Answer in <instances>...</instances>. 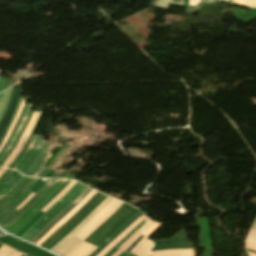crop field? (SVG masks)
<instances>
[{
	"label": "crop field",
	"instance_id": "obj_25",
	"mask_svg": "<svg viewBox=\"0 0 256 256\" xmlns=\"http://www.w3.org/2000/svg\"><path fill=\"white\" fill-rule=\"evenodd\" d=\"M11 88L2 92L1 97H0V117L6 107L7 104V100L10 94Z\"/></svg>",
	"mask_w": 256,
	"mask_h": 256
},
{
	"label": "crop field",
	"instance_id": "obj_47",
	"mask_svg": "<svg viewBox=\"0 0 256 256\" xmlns=\"http://www.w3.org/2000/svg\"><path fill=\"white\" fill-rule=\"evenodd\" d=\"M45 163H46V162H43V164L41 165V167L39 168V170L35 173V175H34L33 177L36 178L37 174L39 173V171L41 170V168L44 166Z\"/></svg>",
	"mask_w": 256,
	"mask_h": 256
},
{
	"label": "crop field",
	"instance_id": "obj_42",
	"mask_svg": "<svg viewBox=\"0 0 256 256\" xmlns=\"http://www.w3.org/2000/svg\"><path fill=\"white\" fill-rule=\"evenodd\" d=\"M153 223H154V222H152V221L148 218L147 223H146V225H145L143 231H144L145 229H147V228H148L151 224H153Z\"/></svg>",
	"mask_w": 256,
	"mask_h": 256
},
{
	"label": "crop field",
	"instance_id": "obj_59",
	"mask_svg": "<svg viewBox=\"0 0 256 256\" xmlns=\"http://www.w3.org/2000/svg\"><path fill=\"white\" fill-rule=\"evenodd\" d=\"M2 246V244H0V247Z\"/></svg>",
	"mask_w": 256,
	"mask_h": 256
},
{
	"label": "crop field",
	"instance_id": "obj_16",
	"mask_svg": "<svg viewBox=\"0 0 256 256\" xmlns=\"http://www.w3.org/2000/svg\"><path fill=\"white\" fill-rule=\"evenodd\" d=\"M146 216L143 214L140 218H138L130 227L124 230L113 242H111L101 253L97 256H103L106 254L112 247H114L130 230H132L139 222L145 219Z\"/></svg>",
	"mask_w": 256,
	"mask_h": 256
},
{
	"label": "crop field",
	"instance_id": "obj_52",
	"mask_svg": "<svg viewBox=\"0 0 256 256\" xmlns=\"http://www.w3.org/2000/svg\"><path fill=\"white\" fill-rule=\"evenodd\" d=\"M14 252H15V250L13 252H11L8 256H11Z\"/></svg>",
	"mask_w": 256,
	"mask_h": 256
},
{
	"label": "crop field",
	"instance_id": "obj_55",
	"mask_svg": "<svg viewBox=\"0 0 256 256\" xmlns=\"http://www.w3.org/2000/svg\"><path fill=\"white\" fill-rule=\"evenodd\" d=\"M127 256H134V255H132V254L129 253Z\"/></svg>",
	"mask_w": 256,
	"mask_h": 256
},
{
	"label": "crop field",
	"instance_id": "obj_19",
	"mask_svg": "<svg viewBox=\"0 0 256 256\" xmlns=\"http://www.w3.org/2000/svg\"><path fill=\"white\" fill-rule=\"evenodd\" d=\"M152 243L149 241H145L136 251L134 254L137 256H151L149 254V249L152 247Z\"/></svg>",
	"mask_w": 256,
	"mask_h": 256
},
{
	"label": "crop field",
	"instance_id": "obj_39",
	"mask_svg": "<svg viewBox=\"0 0 256 256\" xmlns=\"http://www.w3.org/2000/svg\"><path fill=\"white\" fill-rule=\"evenodd\" d=\"M12 83H13V81L12 80H6V83H5V86H4V88H3V91L5 90V89H7L9 86H11L12 85Z\"/></svg>",
	"mask_w": 256,
	"mask_h": 256
},
{
	"label": "crop field",
	"instance_id": "obj_31",
	"mask_svg": "<svg viewBox=\"0 0 256 256\" xmlns=\"http://www.w3.org/2000/svg\"><path fill=\"white\" fill-rule=\"evenodd\" d=\"M24 102H25V100L23 99L22 102H21V105H20V107H19V110H18V112H17V115H16V117H15V119H14V122H13V124H12V126H11V128H10V130H9V132H8V134L6 135V137H5L4 141H3V143H2V145H1V147H0V150H1L2 146L4 145V143L6 142V140H7L8 136H9V134L11 133V131H12V129H13L15 123H16V120H17V118H18V116H19V113H20V111H21V109H22V107H23Z\"/></svg>",
	"mask_w": 256,
	"mask_h": 256
},
{
	"label": "crop field",
	"instance_id": "obj_56",
	"mask_svg": "<svg viewBox=\"0 0 256 256\" xmlns=\"http://www.w3.org/2000/svg\"><path fill=\"white\" fill-rule=\"evenodd\" d=\"M22 256H29V255H27V254H23Z\"/></svg>",
	"mask_w": 256,
	"mask_h": 256
},
{
	"label": "crop field",
	"instance_id": "obj_48",
	"mask_svg": "<svg viewBox=\"0 0 256 256\" xmlns=\"http://www.w3.org/2000/svg\"><path fill=\"white\" fill-rule=\"evenodd\" d=\"M128 254V252H123L120 256H126Z\"/></svg>",
	"mask_w": 256,
	"mask_h": 256
},
{
	"label": "crop field",
	"instance_id": "obj_27",
	"mask_svg": "<svg viewBox=\"0 0 256 256\" xmlns=\"http://www.w3.org/2000/svg\"><path fill=\"white\" fill-rule=\"evenodd\" d=\"M27 106H28V104H27V105H24L23 110H22V113H21V115L19 116V118H18V120H17V123H16V125H15V127H14L12 133L10 134V136H9V138H8V140H7V142H6V144L4 145L3 149H2L1 152H0V156H1V154L3 153V151L5 150V148L7 147V145H8V143L10 142L12 136L15 134L16 129H17V127H18V125H19V123H20V121H21V119H22L24 113H25V110H26Z\"/></svg>",
	"mask_w": 256,
	"mask_h": 256
},
{
	"label": "crop field",
	"instance_id": "obj_24",
	"mask_svg": "<svg viewBox=\"0 0 256 256\" xmlns=\"http://www.w3.org/2000/svg\"><path fill=\"white\" fill-rule=\"evenodd\" d=\"M40 113H41V112H38V113H37V115H36V117H35V120H34L32 126H31L30 130L28 131L27 135L25 136V138H24V140H23V142H22V144H21L19 150L14 154L13 158H12L11 161L8 163V165H11V163L13 162V160L15 159V157L21 152V150H22V148H23V146H24L26 140L28 139V137H29V135H30V133H31V131H32V129H33V127H34V125H35V123H36V121H37L39 115H40Z\"/></svg>",
	"mask_w": 256,
	"mask_h": 256
},
{
	"label": "crop field",
	"instance_id": "obj_57",
	"mask_svg": "<svg viewBox=\"0 0 256 256\" xmlns=\"http://www.w3.org/2000/svg\"><path fill=\"white\" fill-rule=\"evenodd\" d=\"M16 253H17V251L12 256H14Z\"/></svg>",
	"mask_w": 256,
	"mask_h": 256
},
{
	"label": "crop field",
	"instance_id": "obj_11",
	"mask_svg": "<svg viewBox=\"0 0 256 256\" xmlns=\"http://www.w3.org/2000/svg\"><path fill=\"white\" fill-rule=\"evenodd\" d=\"M111 198L105 199L91 214H89L70 234H68L65 238H63L59 243H57L52 249L49 251L55 252L57 251L65 242H67L87 221H89L101 208H103Z\"/></svg>",
	"mask_w": 256,
	"mask_h": 256
},
{
	"label": "crop field",
	"instance_id": "obj_28",
	"mask_svg": "<svg viewBox=\"0 0 256 256\" xmlns=\"http://www.w3.org/2000/svg\"><path fill=\"white\" fill-rule=\"evenodd\" d=\"M28 180H29V178L24 176V178L20 181V183L11 192L6 194V196L12 198L23 188V186L27 183Z\"/></svg>",
	"mask_w": 256,
	"mask_h": 256
},
{
	"label": "crop field",
	"instance_id": "obj_4",
	"mask_svg": "<svg viewBox=\"0 0 256 256\" xmlns=\"http://www.w3.org/2000/svg\"><path fill=\"white\" fill-rule=\"evenodd\" d=\"M70 182V180L57 179L54 185L37 201L35 202L16 222L10 225L5 231L15 235L22 229L43 207H45L63 188ZM19 224L15 229L11 230Z\"/></svg>",
	"mask_w": 256,
	"mask_h": 256
},
{
	"label": "crop field",
	"instance_id": "obj_10",
	"mask_svg": "<svg viewBox=\"0 0 256 256\" xmlns=\"http://www.w3.org/2000/svg\"><path fill=\"white\" fill-rule=\"evenodd\" d=\"M91 189H87L82 193L74 202H72L61 214H59L51 223H49L36 237L30 242L36 243L47 231H49L64 215H66L72 208H74L89 192Z\"/></svg>",
	"mask_w": 256,
	"mask_h": 256
},
{
	"label": "crop field",
	"instance_id": "obj_36",
	"mask_svg": "<svg viewBox=\"0 0 256 256\" xmlns=\"http://www.w3.org/2000/svg\"><path fill=\"white\" fill-rule=\"evenodd\" d=\"M140 235H142L141 232H139V233L123 248V250L126 251V250L132 245V243H133Z\"/></svg>",
	"mask_w": 256,
	"mask_h": 256
},
{
	"label": "crop field",
	"instance_id": "obj_54",
	"mask_svg": "<svg viewBox=\"0 0 256 256\" xmlns=\"http://www.w3.org/2000/svg\"><path fill=\"white\" fill-rule=\"evenodd\" d=\"M247 251H249V252H252V253H256V252H254V251H251V250H247Z\"/></svg>",
	"mask_w": 256,
	"mask_h": 256
},
{
	"label": "crop field",
	"instance_id": "obj_43",
	"mask_svg": "<svg viewBox=\"0 0 256 256\" xmlns=\"http://www.w3.org/2000/svg\"><path fill=\"white\" fill-rule=\"evenodd\" d=\"M5 80H6V79H4V78H0V92H1V90H2V87H3V85H4Z\"/></svg>",
	"mask_w": 256,
	"mask_h": 256
},
{
	"label": "crop field",
	"instance_id": "obj_44",
	"mask_svg": "<svg viewBox=\"0 0 256 256\" xmlns=\"http://www.w3.org/2000/svg\"><path fill=\"white\" fill-rule=\"evenodd\" d=\"M34 194L32 193L17 209H19L23 204H25Z\"/></svg>",
	"mask_w": 256,
	"mask_h": 256
},
{
	"label": "crop field",
	"instance_id": "obj_23",
	"mask_svg": "<svg viewBox=\"0 0 256 256\" xmlns=\"http://www.w3.org/2000/svg\"><path fill=\"white\" fill-rule=\"evenodd\" d=\"M247 240L256 243V231L251 230L247 237ZM248 241L246 242L245 248L256 251V244Z\"/></svg>",
	"mask_w": 256,
	"mask_h": 256
},
{
	"label": "crop field",
	"instance_id": "obj_22",
	"mask_svg": "<svg viewBox=\"0 0 256 256\" xmlns=\"http://www.w3.org/2000/svg\"><path fill=\"white\" fill-rule=\"evenodd\" d=\"M207 1H229V2H232V0H200V3L207 2ZM233 2L256 8V0H233Z\"/></svg>",
	"mask_w": 256,
	"mask_h": 256
},
{
	"label": "crop field",
	"instance_id": "obj_21",
	"mask_svg": "<svg viewBox=\"0 0 256 256\" xmlns=\"http://www.w3.org/2000/svg\"><path fill=\"white\" fill-rule=\"evenodd\" d=\"M36 181V179L32 182V184L26 189V191L16 200L14 201L12 204H10V207L16 208L18 205H20L26 198L27 196L30 194L29 189L31 188V186L33 185V183ZM9 207V208H10ZM8 208V209H9ZM8 209H6L5 211L1 212L0 215H2L4 212H6Z\"/></svg>",
	"mask_w": 256,
	"mask_h": 256
},
{
	"label": "crop field",
	"instance_id": "obj_49",
	"mask_svg": "<svg viewBox=\"0 0 256 256\" xmlns=\"http://www.w3.org/2000/svg\"><path fill=\"white\" fill-rule=\"evenodd\" d=\"M6 170L5 169H3V171L0 173V177L2 176V174L5 172Z\"/></svg>",
	"mask_w": 256,
	"mask_h": 256
},
{
	"label": "crop field",
	"instance_id": "obj_58",
	"mask_svg": "<svg viewBox=\"0 0 256 256\" xmlns=\"http://www.w3.org/2000/svg\"><path fill=\"white\" fill-rule=\"evenodd\" d=\"M2 168H0V172H1Z\"/></svg>",
	"mask_w": 256,
	"mask_h": 256
},
{
	"label": "crop field",
	"instance_id": "obj_34",
	"mask_svg": "<svg viewBox=\"0 0 256 256\" xmlns=\"http://www.w3.org/2000/svg\"><path fill=\"white\" fill-rule=\"evenodd\" d=\"M13 249L6 245H3L0 249V256H7Z\"/></svg>",
	"mask_w": 256,
	"mask_h": 256
},
{
	"label": "crop field",
	"instance_id": "obj_9",
	"mask_svg": "<svg viewBox=\"0 0 256 256\" xmlns=\"http://www.w3.org/2000/svg\"><path fill=\"white\" fill-rule=\"evenodd\" d=\"M56 179H49V181L6 223L0 226L3 230L17 220L36 200H38L48 189Z\"/></svg>",
	"mask_w": 256,
	"mask_h": 256
},
{
	"label": "crop field",
	"instance_id": "obj_6",
	"mask_svg": "<svg viewBox=\"0 0 256 256\" xmlns=\"http://www.w3.org/2000/svg\"><path fill=\"white\" fill-rule=\"evenodd\" d=\"M153 243L155 246L151 251L193 248L189 241L187 240L186 234L183 230L170 240L154 241Z\"/></svg>",
	"mask_w": 256,
	"mask_h": 256
},
{
	"label": "crop field",
	"instance_id": "obj_37",
	"mask_svg": "<svg viewBox=\"0 0 256 256\" xmlns=\"http://www.w3.org/2000/svg\"><path fill=\"white\" fill-rule=\"evenodd\" d=\"M75 183L76 181L71 180L69 185L61 193L65 194Z\"/></svg>",
	"mask_w": 256,
	"mask_h": 256
},
{
	"label": "crop field",
	"instance_id": "obj_38",
	"mask_svg": "<svg viewBox=\"0 0 256 256\" xmlns=\"http://www.w3.org/2000/svg\"><path fill=\"white\" fill-rule=\"evenodd\" d=\"M47 171H48L47 169L42 168V170L38 174L37 178H43L44 175L47 173Z\"/></svg>",
	"mask_w": 256,
	"mask_h": 256
},
{
	"label": "crop field",
	"instance_id": "obj_8",
	"mask_svg": "<svg viewBox=\"0 0 256 256\" xmlns=\"http://www.w3.org/2000/svg\"><path fill=\"white\" fill-rule=\"evenodd\" d=\"M20 92L21 91L19 90L18 85L13 86L6 110L0 120V136L2 135L8 121L13 113V110L16 105V102H17Z\"/></svg>",
	"mask_w": 256,
	"mask_h": 256
},
{
	"label": "crop field",
	"instance_id": "obj_53",
	"mask_svg": "<svg viewBox=\"0 0 256 256\" xmlns=\"http://www.w3.org/2000/svg\"><path fill=\"white\" fill-rule=\"evenodd\" d=\"M20 255H21V253L18 252L15 256H20Z\"/></svg>",
	"mask_w": 256,
	"mask_h": 256
},
{
	"label": "crop field",
	"instance_id": "obj_14",
	"mask_svg": "<svg viewBox=\"0 0 256 256\" xmlns=\"http://www.w3.org/2000/svg\"><path fill=\"white\" fill-rule=\"evenodd\" d=\"M22 175L16 171L11 170V172L5 177V179L0 183V195L8 193L14 185L21 179Z\"/></svg>",
	"mask_w": 256,
	"mask_h": 256
},
{
	"label": "crop field",
	"instance_id": "obj_30",
	"mask_svg": "<svg viewBox=\"0 0 256 256\" xmlns=\"http://www.w3.org/2000/svg\"><path fill=\"white\" fill-rule=\"evenodd\" d=\"M161 226V224L158 223H154L152 226H150L146 231L143 232V235L146 236L147 238L153 234L159 227Z\"/></svg>",
	"mask_w": 256,
	"mask_h": 256
},
{
	"label": "crop field",
	"instance_id": "obj_29",
	"mask_svg": "<svg viewBox=\"0 0 256 256\" xmlns=\"http://www.w3.org/2000/svg\"><path fill=\"white\" fill-rule=\"evenodd\" d=\"M35 114H36V112L33 113L32 117H31V119H30V121H29V123H28V125H27V127H26V129H25V131H24V134H23V136H22L20 142H19L18 145L15 147V149L13 150V152L11 153V155L8 157V159L5 161V163L2 165V167H5V166L7 165V163L10 161V159H11L12 156H13V154L15 153V151L17 150V148H18L19 145L21 144V142H22V140H23V138H24V136H25V134H26V132H27V130H28V128H29V126H30V124H31V122H32V120H33V118H34V116H35Z\"/></svg>",
	"mask_w": 256,
	"mask_h": 256
},
{
	"label": "crop field",
	"instance_id": "obj_2",
	"mask_svg": "<svg viewBox=\"0 0 256 256\" xmlns=\"http://www.w3.org/2000/svg\"><path fill=\"white\" fill-rule=\"evenodd\" d=\"M86 189L87 187L77 182L69 192H67L55 205L46 211V213L20 238L27 241L32 239Z\"/></svg>",
	"mask_w": 256,
	"mask_h": 256
},
{
	"label": "crop field",
	"instance_id": "obj_26",
	"mask_svg": "<svg viewBox=\"0 0 256 256\" xmlns=\"http://www.w3.org/2000/svg\"><path fill=\"white\" fill-rule=\"evenodd\" d=\"M146 220V219H145ZM145 220L142 221L135 229H133L129 234H127L114 248H112L105 256H111L117 251V248L134 232L136 231L140 226H142L145 223Z\"/></svg>",
	"mask_w": 256,
	"mask_h": 256
},
{
	"label": "crop field",
	"instance_id": "obj_51",
	"mask_svg": "<svg viewBox=\"0 0 256 256\" xmlns=\"http://www.w3.org/2000/svg\"><path fill=\"white\" fill-rule=\"evenodd\" d=\"M253 230H256V223H255V225H254V227H253Z\"/></svg>",
	"mask_w": 256,
	"mask_h": 256
},
{
	"label": "crop field",
	"instance_id": "obj_3",
	"mask_svg": "<svg viewBox=\"0 0 256 256\" xmlns=\"http://www.w3.org/2000/svg\"><path fill=\"white\" fill-rule=\"evenodd\" d=\"M119 201L112 199L97 215H95L74 237L81 239L94 225H96L105 215H107ZM122 204L120 202L107 216H105L95 227H93L82 239L83 241L96 227H98L105 219H107L117 208ZM71 238L66 244H64L55 254L59 256H66L75 247H77L81 241Z\"/></svg>",
	"mask_w": 256,
	"mask_h": 256
},
{
	"label": "crop field",
	"instance_id": "obj_7",
	"mask_svg": "<svg viewBox=\"0 0 256 256\" xmlns=\"http://www.w3.org/2000/svg\"><path fill=\"white\" fill-rule=\"evenodd\" d=\"M102 194L96 193L81 209H79L62 227L47 238L40 247L44 248L61 234L71 223H73L80 215H82Z\"/></svg>",
	"mask_w": 256,
	"mask_h": 256
},
{
	"label": "crop field",
	"instance_id": "obj_20",
	"mask_svg": "<svg viewBox=\"0 0 256 256\" xmlns=\"http://www.w3.org/2000/svg\"><path fill=\"white\" fill-rule=\"evenodd\" d=\"M31 106H32V105H29V106H28V109H27V111H26V114H25V116H24V118H23L21 124L19 125L16 134L13 136V138H12V140H11V142H10L8 148L5 150V152H4V153L2 154V156L0 157V162H1V160L4 158V156L7 154V152L10 150V148L12 147V145H13V143H14L16 137L18 136V134H19V132H20V130H21V127H22V125H23V123H24V121H25V119H26V117H27V115H28V113H29V110H30Z\"/></svg>",
	"mask_w": 256,
	"mask_h": 256
},
{
	"label": "crop field",
	"instance_id": "obj_5",
	"mask_svg": "<svg viewBox=\"0 0 256 256\" xmlns=\"http://www.w3.org/2000/svg\"><path fill=\"white\" fill-rule=\"evenodd\" d=\"M45 143L43 142L42 136H33V139L28 146L25 154L22 158L18 161V163L13 167L14 170H18L22 174H26L27 171L30 169L36 158L38 157L39 153L45 147Z\"/></svg>",
	"mask_w": 256,
	"mask_h": 256
},
{
	"label": "crop field",
	"instance_id": "obj_40",
	"mask_svg": "<svg viewBox=\"0 0 256 256\" xmlns=\"http://www.w3.org/2000/svg\"><path fill=\"white\" fill-rule=\"evenodd\" d=\"M199 4V0H189V5L197 6Z\"/></svg>",
	"mask_w": 256,
	"mask_h": 256
},
{
	"label": "crop field",
	"instance_id": "obj_12",
	"mask_svg": "<svg viewBox=\"0 0 256 256\" xmlns=\"http://www.w3.org/2000/svg\"><path fill=\"white\" fill-rule=\"evenodd\" d=\"M107 196L102 195L82 216H80L72 225H70L60 236H58L53 242H51L46 249H50L54 244L65 237L71 232L99 203H101Z\"/></svg>",
	"mask_w": 256,
	"mask_h": 256
},
{
	"label": "crop field",
	"instance_id": "obj_17",
	"mask_svg": "<svg viewBox=\"0 0 256 256\" xmlns=\"http://www.w3.org/2000/svg\"><path fill=\"white\" fill-rule=\"evenodd\" d=\"M151 254L152 256H195V250H166Z\"/></svg>",
	"mask_w": 256,
	"mask_h": 256
},
{
	"label": "crop field",
	"instance_id": "obj_15",
	"mask_svg": "<svg viewBox=\"0 0 256 256\" xmlns=\"http://www.w3.org/2000/svg\"><path fill=\"white\" fill-rule=\"evenodd\" d=\"M140 211L123 224L113 235H111L100 247H98L90 256H96L107 244L113 241L124 229L132 224V222L142 215Z\"/></svg>",
	"mask_w": 256,
	"mask_h": 256
},
{
	"label": "crop field",
	"instance_id": "obj_32",
	"mask_svg": "<svg viewBox=\"0 0 256 256\" xmlns=\"http://www.w3.org/2000/svg\"><path fill=\"white\" fill-rule=\"evenodd\" d=\"M144 226V225H143ZM142 227H140L132 236H130L118 249V251L113 256H119L123 250H121L140 230H142Z\"/></svg>",
	"mask_w": 256,
	"mask_h": 256
},
{
	"label": "crop field",
	"instance_id": "obj_41",
	"mask_svg": "<svg viewBox=\"0 0 256 256\" xmlns=\"http://www.w3.org/2000/svg\"><path fill=\"white\" fill-rule=\"evenodd\" d=\"M16 211H17V210H14L6 219H4V220L0 223V225L3 224L5 221H7L10 217H12V216L16 213Z\"/></svg>",
	"mask_w": 256,
	"mask_h": 256
},
{
	"label": "crop field",
	"instance_id": "obj_45",
	"mask_svg": "<svg viewBox=\"0 0 256 256\" xmlns=\"http://www.w3.org/2000/svg\"><path fill=\"white\" fill-rule=\"evenodd\" d=\"M183 0H172L171 3L182 4Z\"/></svg>",
	"mask_w": 256,
	"mask_h": 256
},
{
	"label": "crop field",
	"instance_id": "obj_13",
	"mask_svg": "<svg viewBox=\"0 0 256 256\" xmlns=\"http://www.w3.org/2000/svg\"><path fill=\"white\" fill-rule=\"evenodd\" d=\"M96 191L92 190L89 195L82 200L74 209H72L66 216H64L36 245H40L48 236H50L55 230L62 226L79 208H81L94 194Z\"/></svg>",
	"mask_w": 256,
	"mask_h": 256
},
{
	"label": "crop field",
	"instance_id": "obj_1",
	"mask_svg": "<svg viewBox=\"0 0 256 256\" xmlns=\"http://www.w3.org/2000/svg\"><path fill=\"white\" fill-rule=\"evenodd\" d=\"M137 211L138 210L123 203L119 209L110 218L103 222L97 229H95L89 235V237L83 241V243L97 248ZM83 243L74 249L68 256H88L95 250V248Z\"/></svg>",
	"mask_w": 256,
	"mask_h": 256
},
{
	"label": "crop field",
	"instance_id": "obj_18",
	"mask_svg": "<svg viewBox=\"0 0 256 256\" xmlns=\"http://www.w3.org/2000/svg\"><path fill=\"white\" fill-rule=\"evenodd\" d=\"M47 155H48L47 152L42 151V153L39 155V157L37 158V160L34 163V165L32 166V168L28 171V173L26 175L32 177L33 174L37 171L38 167L44 161V159L46 158Z\"/></svg>",
	"mask_w": 256,
	"mask_h": 256
},
{
	"label": "crop field",
	"instance_id": "obj_33",
	"mask_svg": "<svg viewBox=\"0 0 256 256\" xmlns=\"http://www.w3.org/2000/svg\"><path fill=\"white\" fill-rule=\"evenodd\" d=\"M171 0H156L155 6L163 7V8H169Z\"/></svg>",
	"mask_w": 256,
	"mask_h": 256
},
{
	"label": "crop field",
	"instance_id": "obj_50",
	"mask_svg": "<svg viewBox=\"0 0 256 256\" xmlns=\"http://www.w3.org/2000/svg\"><path fill=\"white\" fill-rule=\"evenodd\" d=\"M249 253V252H248ZM249 256H256V254L249 253Z\"/></svg>",
	"mask_w": 256,
	"mask_h": 256
},
{
	"label": "crop field",
	"instance_id": "obj_60",
	"mask_svg": "<svg viewBox=\"0 0 256 256\" xmlns=\"http://www.w3.org/2000/svg\"><path fill=\"white\" fill-rule=\"evenodd\" d=\"M1 73V72H0Z\"/></svg>",
	"mask_w": 256,
	"mask_h": 256
},
{
	"label": "crop field",
	"instance_id": "obj_35",
	"mask_svg": "<svg viewBox=\"0 0 256 256\" xmlns=\"http://www.w3.org/2000/svg\"><path fill=\"white\" fill-rule=\"evenodd\" d=\"M63 196V194L59 193L45 208L42 209V211H46L47 209H49L56 201H58L61 197Z\"/></svg>",
	"mask_w": 256,
	"mask_h": 256
},
{
	"label": "crop field",
	"instance_id": "obj_46",
	"mask_svg": "<svg viewBox=\"0 0 256 256\" xmlns=\"http://www.w3.org/2000/svg\"><path fill=\"white\" fill-rule=\"evenodd\" d=\"M32 180H33V179H31V180L24 186V188L20 191V193H22V192L26 189V187L31 183Z\"/></svg>",
	"mask_w": 256,
	"mask_h": 256
}]
</instances>
